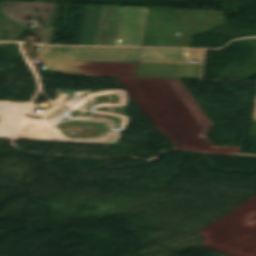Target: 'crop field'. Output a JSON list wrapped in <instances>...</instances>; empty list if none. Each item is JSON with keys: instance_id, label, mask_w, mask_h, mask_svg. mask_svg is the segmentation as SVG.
<instances>
[{"instance_id": "2", "label": "crop field", "mask_w": 256, "mask_h": 256, "mask_svg": "<svg viewBox=\"0 0 256 256\" xmlns=\"http://www.w3.org/2000/svg\"><path fill=\"white\" fill-rule=\"evenodd\" d=\"M43 70L61 71L64 60L136 62L139 49L41 46Z\"/></svg>"}, {"instance_id": "6", "label": "crop field", "mask_w": 256, "mask_h": 256, "mask_svg": "<svg viewBox=\"0 0 256 256\" xmlns=\"http://www.w3.org/2000/svg\"><path fill=\"white\" fill-rule=\"evenodd\" d=\"M101 6L87 5L78 43L92 45Z\"/></svg>"}, {"instance_id": "1", "label": "crop field", "mask_w": 256, "mask_h": 256, "mask_svg": "<svg viewBox=\"0 0 256 256\" xmlns=\"http://www.w3.org/2000/svg\"><path fill=\"white\" fill-rule=\"evenodd\" d=\"M222 13L202 11V21H194L195 10L150 9L143 46L188 47L190 35L225 25L226 19L220 17Z\"/></svg>"}, {"instance_id": "8", "label": "crop field", "mask_w": 256, "mask_h": 256, "mask_svg": "<svg viewBox=\"0 0 256 256\" xmlns=\"http://www.w3.org/2000/svg\"><path fill=\"white\" fill-rule=\"evenodd\" d=\"M201 64L183 63L178 78L199 79Z\"/></svg>"}, {"instance_id": "7", "label": "crop field", "mask_w": 256, "mask_h": 256, "mask_svg": "<svg viewBox=\"0 0 256 256\" xmlns=\"http://www.w3.org/2000/svg\"><path fill=\"white\" fill-rule=\"evenodd\" d=\"M140 60L184 62V50L142 49Z\"/></svg>"}, {"instance_id": "5", "label": "crop field", "mask_w": 256, "mask_h": 256, "mask_svg": "<svg viewBox=\"0 0 256 256\" xmlns=\"http://www.w3.org/2000/svg\"><path fill=\"white\" fill-rule=\"evenodd\" d=\"M181 64L139 62L135 77L177 78Z\"/></svg>"}, {"instance_id": "10", "label": "crop field", "mask_w": 256, "mask_h": 256, "mask_svg": "<svg viewBox=\"0 0 256 256\" xmlns=\"http://www.w3.org/2000/svg\"><path fill=\"white\" fill-rule=\"evenodd\" d=\"M254 119H256V108H255V116H254Z\"/></svg>"}, {"instance_id": "3", "label": "crop field", "mask_w": 256, "mask_h": 256, "mask_svg": "<svg viewBox=\"0 0 256 256\" xmlns=\"http://www.w3.org/2000/svg\"><path fill=\"white\" fill-rule=\"evenodd\" d=\"M147 9L123 7L114 45H140Z\"/></svg>"}, {"instance_id": "4", "label": "crop field", "mask_w": 256, "mask_h": 256, "mask_svg": "<svg viewBox=\"0 0 256 256\" xmlns=\"http://www.w3.org/2000/svg\"><path fill=\"white\" fill-rule=\"evenodd\" d=\"M121 9L102 6L93 45H113Z\"/></svg>"}, {"instance_id": "9", "label": "crop field", "mask_w": 256, "mask_h": 256, "mask_svg": "<svg viewBox=\"0 0 256 256\" xmlns=\"http://www.w3.org/2000/svg\"><path fill=\"white\" fill-rule=\"evenodd\" d=\"M203 51L185 50V60L201 61Z\"/></svg>"}]
</instances>
